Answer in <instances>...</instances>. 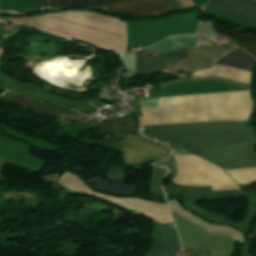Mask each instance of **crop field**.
I'll return each mask as SVG.
<instances>
[{
	"mask_svg": "<svg viewBox=\"0 0 256 256\" xmlns=\"http://www.w3.org/2000/svg\"><path fill=\"white\" fill-rule=\"evenodd\" d=\"M249 91L159 98L158 107L141 108L140 125L246 121ZM144 136L177 153L201 151L241 142L253 143L248 123H215L141 127Z\"/></svg>",
	"mask_w": 256,
	"mask_h": 256,
	"instance_id": "1",
	"label": "crop field"
},
{
	"mask_svg": "<svg viewBox=\"0 0 256 256\" xmlns=\"http://www.w3.org/2000/svg\"><path fill=\"white\" fill-rule=\"evenodd\" d=\"M194 40L195 35L171 36L145 49L158 50V55H160L177 49L191 47ZM187 56L188 50L185 48L160 56L138 58L136 59V71L145 73L158 71L167 65L178 63Z\"/></svg>",
	"mask_w": 256,
	"mask_h": 256,
	"instance_id": "2",
	"label": "crop field"
},
{
	"mask_svg": "<svg viewBox=\"0 0 256 256\" xmlns=\"http://www.w3.org/2000/svg\"><path fill=\"white\" fill-rule=\"evenodd\" d=\"M243 51L236 49L229 52L219 59L216 64L252 72V68L256 66V60ZM218 65H216L215 69L197 71L192 74V77L220 76L248 84L251 73Z\"/></svg>",
	"mask_w": 256,
	"mask_h": 256,
	"instance_id": "3",
	"label": "crop field"
},
{
	"mask_svg": "<svg viewBox=\"0 0 256 256\" xmlns=\"http://www.w3.org/2000/svg\"><path fill=\"white\" fill-rule=\"evenodd\" d=\"M115 149L123 153L126 164L139 163L148 160H159L169 156L165 146H159L141 135L128 137L117 144Z\"/></svg>",
	"mask_w": 256,
	"mask_h": 256,
	"instance_id": "4",
	"label": "crop field"
},
{
	"mask_svg": "<svg viewBox=\"0 0 256 256\" xmlns=\"http://www.w3.org/2000/svg\"><path fill=\"white\" fill-rule=\"evenodd\" d=\"M205 8L256 26V1L210 0Z\"/></svg>",
	"mask_w": 256,
	"mask_h": 256,
	"instance_id": "5",
	"label": "crop field"
},
{
	"mask_svg": "<svg viewBox=\"0 0 256 256\" xmlns=\"http://www.w3.org/2000/svg\"><path fill=\"white\" fill-rule=\"evenodd\" d=\"M0 85L27 97H33V98L43 99L51 102L60 103L83 112L94 111L93 106L87 102L69 101L63 98H59L49 93H44L39 88L23 85L13 80H10L8 78H5L3 76L0 81Z\"/></svg>",
	"mask_w": 256,
	"mask_h": 256,
	"instance_id": "6",
	"label": "crop field"
},
{
	"mask_svg": "<svg viewBox=\"0 0 256 256\" xmlns=\"http://www.w3.org/2000/svg\"><path fill=\"white\" fill-rule=\"evenodd\" d=\"M123 1L134 0H106V3ZM107 11L122 12L128 15H154L166 12L167 9L162 0H145L107 4Z\"/></svg>",
	"mask_w": 256,
	"mask_h": 256,
	"instance_id": "7",
	"label": "crop field"
},
{
	"mask_svg": "<svg viewBox=\"0 0 256 256\" xmlns=\"http://www.w3.org/2000/svg\"><path fill=\"white\" fill-rule=\"evenodd\" d=\"M180 242L174 228H164L157 224V242L145 256H176Z\"/></svg>",
	"mask_w": 256,
	"mask_h": 256,
	"instance_id": "8",
	"label": "crop field"
},
{
	"mask_svg": "<svg viewBox=\"0 0 256 256\" xmlns=\"http://www.w3.org/2000/svg\"><path fill=\"white\" fill-rule=\"evenodd\" d=\"M213 29H217L219 34L226 35L232 39H234L233 44L238 45L245 49L246 51L252 53L254 56H256V37L249 36V35H243V34H237L233 31H230L226 29L223 26H220L218 24L212 23ZM251 54V55H252Z\"/></svg>",
	"mask_w": 256,
	"mask_h": 256,
	"instance_id": "9",
	"label": "crop field"
},
{
	"mask_svg": "<svg viewBox=\"0 0 256 256\" xmlns=\"http://www.w3.org/2000/svg\"><path fill=\"white\" fill-rule=\"evenodd\" d=\"M38 6H46V0H32ZM49 6H95L106 8L105 0H49Z\"/></svg>",
	"mask_w": 256,
	"mask_h": 256,
	"instance_id": "10",
	"label": "crop field"
},
{
	"mask_svg": "<svg viewBox=\"0 0 256 256\" xmlns=\"http://www.w3.org/2000/svg\"><path fill=\"white\" fill-rule=\"evenodd\" d=\"M166 171L167 169L165 168L154 169L151 189L161 188V178L165 175Z\"/></svg>",
	"mask_w": 256,
	"mask_h": 256,
	"instance_id": "11",
	"label": "crop field"
},
{
	"mask_svg": "<svg viewBox=\"0 0 256 256\" xmlns=\"http://www.w3.org/2000/svg\"><path fill=\"white\" fill-rule=\"evenodd\" d=\"M153 165L154 166H166L170 170V172H169L170 174H172L175 171V164L172 162L171 158H169L163 162H158Z\"/></svg>",
	"mask_w": 256,
	"mask_h": 256,
	"instance_id": "12",
	"label": "crop field"
},
{
	"mask_svg": "<svg viewBox=\"0 0 256 256\" xmlns=\"http://www.w3.org/2000/svg\"><path fill=\"white\" fill-rule=\"evenodd\" d=\"M178 8L194 6L192 0H175Z\"/></svg>",
	"mask_w": 256,
	"mask_h": 256,
	"instance_id": "13",
	"label": "crop field"
}]
</instances>
